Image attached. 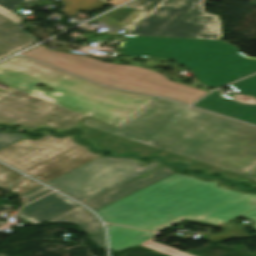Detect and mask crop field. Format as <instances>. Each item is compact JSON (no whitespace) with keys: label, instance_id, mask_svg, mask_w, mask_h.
I'll return each instance as SVG.
<instances>
[{"label":"crop field","instance_id":"obj_23","mask_svg":"<svg viewBox=\"0 0 256 256\" xmlns=\"http://www.w3.org/2000/svg\"><path fill=\"white\" fill-rule=\"evenodd\" d=\"M25 137L21 133H6L0 132V148H3L21 138Z\"/></svg>","mask_w":256,"mask_h":256},{"label":"crop field","instance_id":"obj_25","mask_svg":"<svg viewBox=\"0 0 256 256\" xmlns=\"http://www.w3.org/2000/svg\"><path fill=\"white\" fill-rule=\"evenodd\" d=\"M0 14L7 17L9 20H11L16 25L22 20L20 17H18L16 14L0 7Z\"/></svg>","mask_w":256,"mask_h":256},{"label":"crop field","instance_id":"obj_9","mask_svg":"<svg viewBox=\"0 0 256 256\" xmlns=\"http://www.w3.org/2000/svg\"><path fill=\"white\" fill-rule=\"evenodd\" d=\"M83 129H85L87 132L83 134L81 137L91 139L92 141L95 142L96 147H107L112 153L116 155H123L129 152H134L140 157H145L148 155H158L162 158L164 163H172L178 161L190 163L185 168L187 170L201 168L205 169L207 173L217 172L223 174L224 176L235 179H238L240 176H242V174L239 173H235L216 166H212L193 159H189L170 152H166L157 148H153L134 141L120 138L86 125L83 126Z\"/></svg>","mask_w":256,"mask_h":256},{"label":"crop field","instance_id":"obj_26","mask_svg":"<svg viewBox=\"0 0 256 256\" xmlns=\"http://www.w3.org/2000/svg\"><path fill=\"white\" fill-rule=\"evenodd\" d=\"M19 4L12 1V0H0V6L12 11L16 8Z\"/></svg>","mask_w":256,"mask_h":256},{"label":"crop field","instance_id":"obj_14","mask_svg":"<svg viewBox=\"0 0 256 256\" xmlns=\"http://www.w3.org/2000/svg\"><path fill=\"white\" fill-rule=\"evenodd\" d=\"M36 42L15 24L0 16V59Z\"/></svg>","mask_w":256,"mask_h":256},{"label":"crop field","instance_id":"obj_20","mask_svg":"<svg viewBox=\"0 0 256 256\" xmlns=\"http://www.w3.org/2000/svg\"><path fill=\"white\" fill-rule=\"evenodd\" d=\"M40 184L28 179V178H23L20 181H18L16 184H14L11 188L8 190H11L16 193V195H20Z\"/></svg>","mask_w":256,"mask_h":256},{"label":"crop field","instance_id":"obj_7","mask_svg":"<svg viewBox=\"0 0 256 256\" xmlns=\"http://www.w3.org/2000/svg\"><path fill=\"white\" fill-rule=\"evenodd\" d=\"M203 0H162L125 35L218 40V16L203 13Z\"/></svg>","mask_w":256,"mask_h":256},{"label":"crop field","instance_id":"obj_6","mask_svg":"<svg viewBox=\"0 0 256 256\" xmlns=\"http://www.w3.org/2000/svg\"><path fill=\"white\" fill-rule=\"evenodd\" d=\"M99 156L72 142L71 136L50 134L36 141L24 138L0 149L1 161L43 183Z\"/></svg>","mask_w":256,"mask_h":256},{"label":"crop field","instance_id":"obj_22","mask_svg":"<svg viewBox=\"0 0 256 256\" xmlns=\"http://www.w3.org/2000/svg\"><path fill=\"white\" fill-rule=\"evenodd\" d=\"M87 238L93 241L97 245L98 249H105L104 233L102 227L89 232Z\"/></svg>","mask_w":256,"mask_h":256},{"label":"crop field","instance_id":"obj_4","mask_svg":"<svg viewBox=\"0 0 256 256\" xmlns=\"http://www.w3.org/2000/svg\"><path fill=\"white\" fill-rule=\"evenodd\" d=\"M120 55L176 58L198 82L218 87L256 72V59L222 41L123 36Z\"/></svg>","mask_w":256,"mask_h":256},{"label":"crop field","instance_id":"obj_16","mask_svg":"<svg viewBox=\"0 0 256 256\" xmlns=\"http://www.w3.org/2000/svg\"><path fill=\"white\" fill-rule=\"evenodd\" d=\"M63 2L65 8L62 11L68 16H71L78 9L92 12L104 3L102 0H63Z\"/></svg>","mask_w":256,"mask_h":256},{"label":"crop field","instance_id":"obj_3","mask_svg":"<svg viewBox=\"0 0 256 256\" xmlns=\"http://www.w3.org/2000/svg\"><path fill=\"white\" fill-rule=\"evenodd\" d=\"M216 184L174 173L96 212L104 221L156 232L183 219L213 227L238 215L256 221V195Z\"/></svg>","mask_w":256,"mask_h":256},{"label":"crop field","instance_id":"obj_10","mask_svg":"<svg viewBox=\"0 0 256 256\" xmlns=\"http://www.w3.org/2000/svg\"><path fill=\"white\" fill-rule=\"evenodd\" d=\"M238 93L256 99V75L230 85ZM256 125V104L244 103L221 95L217 90L194 104Z\"/></svg>","mask_w":256,"mask_h":256},{"label":"crop field","instance_id":"obj_12","mask_svg":"<svg viewBox=\"0 0 256 256\" xmlns=\"http://www.w3.org/2000/svg\"><path fill=\"white\" fill-rule=\"evenodd\" d=\"M173 173V170L161 165L160 167L149 172V176L146 178L135 177L83 204L96 211L122 197H125L169 174Z\"/></svg>","mask_w":256,"mask_h":256},{"label":"crop field","instance_id":"obj_19","mask_svg":"<svg viewBox=\"0 0 256 256\" xmlns=\"http://www.w3.org/2000/svg\"><path fill=\"white\" fill-rule=\"evenodd\" d=\"M52 190L48 189L47 187L41 185L31 191H28L20 196H18L19 200L22 202V205L50 192Z\"/></svg>","mask_w":256,"mask_h":256},{"label":"crop field","instance_id":"obj_11","mask_svg":"<svg viewBox=\"0 0 256 256\" xmlns=\"http://www.w3.org/2000/svg\"><path fill=\"white\" fill-rule=\"evenodd\" d=\"M107 227L109 231L110 250H120L131 245L141 244L171 256H192L149 240L157 235L155 233L123 228L111 224H108Z\"/></svg>","mask_w":256,"mask_h":256},{"label":"crop field","instance_id":"obj_2","mask_svg":"<svg viewBox=\"0 0 256 256\" xmlns=\"http://www.w3.org/2000/svg\"><path fill=\"white\" fill-rule=\"evenodd\" d=\"M83 123L242 174L256 166V127L160 98L117 129Z\"/></svg>","mask_w":256,"mask_h":256},{"label":"crop field","instance_id":"obj_15","mask_svg":"<svg viewBox=\"0 0 256 256\" xmlns=\"http://www.w3.org/2000/svg\"><path fill=\"white\" fill-rule=\"evenodd\" d=\"M47 223H70L87 232L101 223L98 219L84 207L77 205L47 221Z\"/></svg>","mask_w":256,"mask_h":256},{"label":"crop field","instance_id":"obj_5","mask_svg":"<svg viewBox=\"0 0 256 256\" xmlns=\"http://www.w3.org/2000/svg\"><path fill=\"white\" fill-rule=\"evenodd\" d=\"M24 54L89 80L116 88L163 96L187 103L196 101L206 93V91L172 82L153 70L109 64L85 56L48 51L42 45Z\"/></svg>","mask_w":256,"mask_h":256},{"label":"crop field","instance_id":"obj_27","mask_svg":"<svg viewBox=\"0 0 256 256\" xmlns=\"http://www.w3.org/2000/svg\"><path fill=\"white\" fill-rule=\"evenodd\" d=\"M14 1H16V2L20 3V2H22L23 0H14Z\"/></svg>","mask_w":256,"mask_h":256},{"label":"crop field","instance_id":"obj_1","mask_svg":"<svg viewBox=\"0 0 256 256\" xmlns=\"http://www.w3.org/2000/svg\"><path fill=\"white\" fill-rule=\"evenodd\" d=\"M0 80L13 88L0 90V121L30 130H64L85 116L117 128L156 98L96 85L22 56L0 63ZM36 83L55 90L44 92Z\"/></svg>","mask_w":256,"mask_h":256},{"label":"crop field","instance_id":"obj_8","mask_svg":"<svg viewBox=\"0 0 256 256\" xmlns=\"http://www.w3.org/2000/svg\"><path fill=\"white\" fill-rule=\"evenodd\" d=\"M157 166L158 162L140 167L132 158L101 156L45 184L82 203Z\"/></svg>","mask_w":256,"mask_h":256},{"label":"crop field","instance_id":"obj_17","mask_svg":"<svg viewBox=\"0 0 256 256\" xmlns=\"http://www.w3.org/2000/svg\"><path fill=\"white\" fill-rule=\"evenodd\" d=\"M220 228L224 229L228 233L208 237V238H205V239L210 240V241H214V242H221V241L234 239V238L256 236V234L255 235H250L245 230H243L241 227H239L237 225H233V224H226V225H224Z\"/></svg>","mask_w":256,"mask_h":256},{"label":"crop field","instance_id":"obj_18","mask_svg":"<svg viewBox=\"0 0 256 256\" xmlns=\"http://www.w3.org/2000/svg\"><path fill=\"white\" fill-rule=\"evenodd\" d=\"M21 177V174L0 164V187L7 188Z\"/></svg>","mask_w":256,"mask_h":256},{"label":"crop field","instance_id":"obj_21","mask_svg":"<svg viewBox=\"0 0 256 256\" xmlns=\"http://www.w3.org/2000/svg\"><path fill=\"white\" fill-rule=\"evenodd\" d=\"M160 0H135L125 6L149 12Z\"/></svg>","mask_w":256,"mask_h":256},{"label":"crop field","instance_id":"obj_24","mask_svg":"<svg viewBox=\"0 0 256 256\" xmlns=\"http://www.w3.org/2000/svg\"><path fill=\"white\" fill-rule=\"evenodd\" d=\"M238 181H241L250 187H256V167L243 175Z\"/></svg>","mask_w":256,"mask_h":256},{"label":"crop field","instance_id":"obj_13","mask_svg":"<svg viewBox=\"0 0 256 256\" xmlns=\"http://www.w3.org/2000/svg\"><path fill=\"white\" fill-rule=\"evenodd\" d=\"M77 203L57 194L52 193L20 209L17 217L36 225Z\"/></svg>","mask_w":256,"mask_h":256}]
</instances>
